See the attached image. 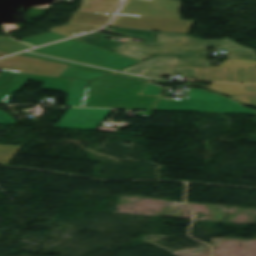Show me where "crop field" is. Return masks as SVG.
I'll use <instances>...</instances> for the list:
<instances>
[{"label": "crop field", "mask_w": 256, "mask_h": 256, "mask_svg": "<svg viewBox=\"0 0 256 256\" xmlns=\"http://www.w3.org/2000/svg\"><path fill=\"white\" fill-rule=\"evenodd\" d=\"M145 82L106 76L89 84L82 107L151 110L158 97L138 95Z\"/></svg>", "instance_id": "obj_1"}, {"label": "crop field", "mask_w": 256, "mask_h": 256, "mask_svg": "<svg viewBox=\"0 0 256 256\" xmlns=\"http://www.w3.org/2000/svg\"><path fill=\"white\" fill-rule=\"evenodd\" d=\"M31 52L115 70L140 62L74 39Z\"/></svg>", "instance_id": "obj_2"}, {"label": "crop field", "mask_w": 256, "mask_h": 256, "mask_svg": "<svg viewBox=\"0 0 256 256\" xmlns=\"http://www.w3.org/2000/svg\"><path fill=\"white\" fill-rule=\"evenodd\" d=\"M153 110L256 114L227 97L194 88L186 100L159 97Z\"/></svg>", "instance_id": "obj_3"}, {"label": "crop field", "mask_w": 256, "mask_h": 256, "mask_svg": "<svg viewBox=\"0 0 256 256\" xmlns=\"http://www.w3.org/2000/svg\"><path fill=\"white\" fill-rule=\"evenodd\" d=\"M220 46L227 49L225 58L256 60L253 50L240 46L228 38L201 40L182 33L157 31L155 47Z\"/></svg>", "instance_id": "obj_4"}, {"label": "crop field", "mask_w": 256, "mask_h": 256, "mask_svg": "<svg viewBox=\"0 0 256 256\" xmlns=\"http://www.w3.org/2000/svg\"><path fill=\"white\" fill-rule=\"evenodd\" d=\"M28 80L44 82L42 89L64 92H68L71 81V79L2 71L0 74V103H9L14 92H20Z\"/></svg>", "instance_id": "obj_5"}, {"label": "crop field", "mask_w": 256, "mask_h": 256, "mask_svg": "<svg viewBox=\"0 0 256 256\" xmlns=\"http://www.w3.org/2000/svg\"><path fill=\"white\" fill-rule=\"evenodd\" d=\"M193 21L118 14L111 26L188 33Z\"/></svg>", "instance_id": "obj_6"}, {"label": "crop field", "mask_w": 256, "mask_h": 256, "mask_svg": "<svg viewBox=\"0 0 256 256\" xmlns=\"http://www.w3.org/2000/svg\"><path fill=\"white\" fill-rule=\"evenodd\" d=\"M68 66L25 56L0 60V70L58 77Z\"/></svg>", "instance_id": "obj_7"}, {"label": "crop field", "mask_w": 256, "mask_h": 256, "mask_svg": "<svg viewBox=\"0 0 256 256\" xmlns=\"http://www.w3.org/2000/svg\"><path fill=\"white\" fill-rule=\"evenodd\" d=\"M181 0H127L120 13L181 19Z\"/></svg>", "instance_id": "obj_8"}, {"label": "crop field", "mask_w": 256, "mask_h": 256, "mask_svg": "<svg viewBox=\"0 0 256 256\" xmlns=\"http://www.w3.org/2000/svg\"><path fill=\"white\" fill-rule=\"evenodd\" d=\"M111 110L69 108L55 127L95 130Z\"/></svg>", "instance_id": "obj_9"}, {"label": "crop field", "mask_w": 256, "mask_h": 256, "mask_svg": "<svg viewBox=\"0 0 256 256\" xmlns=\"http://www.w3.org/2000/svg\"><path fill=\"white\" fill-rule=\"evenodd\" d=\"M207 48H191V49H148L142 48L131 42H126L113 52L137 59L144 60L150 56H193V57H207Z\"/></svg>", "instance_id": "obj_10"}, {"label": "crop field", "mask_w": 256, "mask_h": 256, "mask_svg": "<svg viewBox=\"0 0 256 256\" xmlns=\"http://www.w3.org/2000/svg\"><path fill=\"white\" fill-rule=\"evenodd\" d=\"M203 86L196 84H185V86ZM212 91L235 98V100L245 105H256V85H236L212 83L210 86H203Z\"/></svg>", "instance_id": "obj_11"}, {"label": "crop field", "mask_w": 256, "mask_h": 256, "mask_svg": "<svg viewBox=\"0 0 256 256\" xmlns=\"http://www.w3.org/2000/svg\"><path fill=\"white\" fill-rule=\"evenodd\" d=\"M178 57H151L143 62L128 67L122 72L140 75L145 69L180 68Z\"/></svg>", "instance_id": "obj_12"}, {"label": "crop field", "mask_w": 256, "mask_h": 256, "mask_svg": "<svg viewBox=\"0 0 256 256\" xmlns=\"http://www.w3.org/2000/svg\"><path fill=\"white\" fill-rule=\"evenodd\" d=\"M111 17V14L74 11L69 23L104 25Z\"/></svg>", "instance_id": "obj_13"}, {"label": "crop field", "mask_w": 256, "mask_h": 256, "mask_svg": "<svg viewBox=\"0 0 256 256\" xmlns=\"http://www.w3.org/2000/svg\"><path fill=\"white\" fill-rule=\"evenodd\" d=\"M121 0H86L79 10L115 13Z\"/></svg>", "instance_id": "obj_14"}, {"label": "crop field", "mask_w": 256, "mask_h": 256, "mask_svg": "<svg viewBox=\"0 0 256 256\" xmlns=\"http://www.w3.org/2000/svg\"><path fill=\"white\" fill-rule=\"evenodd\" d=\"M104 31H107L113 34L131 35V36L143 38L145 39L143 42V45L154 47L156 31L114 28V27H108Z\"/></svg>", "instance_id": "obj_15"}, {"label": "crop field", "mask_w": 256, "mask_h": 256, "mask_svg": "<svg viewBox=\"0 0 256 256\" xmlns=\"http://www.w3.org/2000/svg\"><path fill=\"white\" fill-rule=\"evenodd\" d=\"M88 82L89 81L72 79L65 105L81 106Z\"/></svg>", "instance_id": "obj_16"}, {"label": "crop field", "mask_w": 256, "mask_h": 256, "mask_svg": "<svg viewBox=\"0 0 256 256\" xmlns=\"http://www.w3.org/2000/svg\"><path fill=\"white\" fill-rule=\"evenodd\" d=\"M107 37H109V36L101 34L99 32H96V33H93V34L85 35V36L74 38V39H78V40H81V41H84L86 43L102 47V48L110 50V51L116 49L117 47H119L120 45L125 43L123 41H121L119 43L108 41V40L105 39Z\"/></svg>", "instance_id": "obj_17"}, {"label": "crop field", "mask_w": 256, "mask_h": 256, "mask_svg": "<svg viewBox=\"0 0 256 256\" xmlns=\"http://www.w3.org/2000/svg\"><path fill=\"white\" fill-rule=\"evenodd\" d=\"M104 73L69 66L59 77L93 80Z\"/></svg>", "instance_id": "obj_18"}, {"label": "crop field", "mask_w": 256, "mask_h": 256, "mask_svg": "<svg viewBox=\"0 0 256 256\" xmlns=\"http://www.w3.org/2000/svg\"><path fill=\"white\" fill-rule=\"evenodd\" d=\"M98 27L100 26L68 24L64 26H56L50 29L49 31L57 32L64 36L70 37L80 33L94 30Z\"/></svg>", "instance_id": "obj_19"}, {"label": "crop field", "mask_w": 256, "mask_h": 256, "mask_svg": "<svg viewBox=\"0 0 256 256\" xmlns=\"http://www.w3.org/2000/svg\"><path fill=\"white\" fill-rule=\"evenodd\" d=\"M199 80L226 82L224 68L197 69Z\"/></svg>", "instance_id": "obj_20"}, {"label": "crop field", "mask_w": 256, "mask_h": 256, "mask_svg": "<svg viewBox=\"0 0 256 256\" xmlns=\"http://www.w3.org/2000/svg\"><path fill=\"white\" fill-rule=\"evenodd\" d=\"M227 82L248 83L247 68H225Z\"/></svg>", "instance_id": "obj_21"}, {"label": "crop field", "mask_w": 256, "mask_h": 256, "mask_svg": "<svg viewBox=\"0 0 256 256\" xmlns=\"http://www.w3.org/2000/svg\"><path fill=\"white\" fill-rule=\"evenodd\" d=\"M65 38L64 36H61L56 33L48 32L40 35H35L27 38L20 39L21 41L27 42L29 44L38 46L56 39Z\"/></svg>", "instance_id": "obj_22"}, {"label": "crop field", "mask_w": 256, "mask_h": 256, "mask_svg": "<svg viewBox=\"0 0 256 256\" xmlns=\"http://www.w3.org/2000/svg\"><path fill=\"white\" fill-rule=\"evenodd\" d=\"M22 146L0 145V164L8 165Z\"/></svg>", "instance_id": "obj_23"}, {"label": "crop field", "mask_w": 256, "mask_h": 256, "mask_svg": "<svg viewBox=\"0 0 256 256\" xmlns=\"http://www.w3.org/2000/svg\"><path fill=\"white\" fill-rule=\"evenodd\" d=\"M182 67L209 66L207 58L179 57Z\"/></svg>", "instance_id": "obj_24"}, {"label": "crop field", "mask_w": 256, "mask_h": 256, "mask_svg": "<svg viewBox=\"0 0 256 256\" xmlns=\"http://www.w3.org/2000/svg\"><path fill=\"white\" fill-rule=\"evenodd\" d=\"M252 66H256V61L226 59L219 66H216V67H252Z\"/></svg>", "instance_id": "obj_25"}, {"label": "crop field", "mask_w": 256, "mask_h": 256, "mask_svg": "<svg viewBox=\"0 0 256 256\" xmlns=\"http://www.w3.org/2000/svg\"><path fill=\"white\" fill-rule=\"evenodd\" d=\"M143 75L147 77L161 78V76L180 75L179 70L146 71Z\"/></svg>", "instance_id": "obj_26"}, {"label": "crop field", "mask_w": 256, "mask_h": 256, "mask_svg": "<svg viewBox=\"0 0 256 256\" xmlns=\"http://www.w3.org/2000/svg\"><path fill=\"white\" fill-rule=\"evenodd\" d=\"M162 89L163 88L161 87H158L151 83H147V85L144 87L140 94L158 96Z\"/></svg>", "instance_id": "obj_27"}, {"label": "crop field", "mask_w": 256, "mask_h": 256, "mask_svg": "<svg viewBox=\"0 0 256 256\" xmlns=\"http://www.w3.org/2000/svg\"><path fill=\"white\" fill-rule=\"evenodd\" d=\"M21 55H26V56L40 58V59H44V60H49V61L59 62V63H63V64H68V65H73V66H78V67H83V68H88V69H93V70H98V71H103V72L111 73V71H106V70H102V69H97V68L87 67V66H83V65L68 63V62H64V61L49 59V58H45V57H40V56L28 54V53H24V54H21Z\"/></svg>", "instance_id": "obj_28"}, {"label": "crop field", "mask_w": 256, "mask_h": 256, "mask_svg": "<svg viewBox=\"0 0 256 256\" xmlns=\"http://www.w3.org/2000/svg\"><path fill=\"white\" fill-rule=\"evenodd\" d=\"M0 124L15 125V121H14L13 117L0 111Z\"/></svg>", "instance_id": "obj_29"}, {"label": "crop field", "mask_w": 256, "mask_h": 256, "mask_svg": "<svg viewBox=\"0 0 256 256\" xmlns=\"http://www.w3.org/2000/svg\"><path fill=\"white\" fill-rule=\"evenodd\" d=\"M249 83H256V67L248 68Z\"/></svg>", "instance_id": "obj_30"}, {"label": "crop field", "mask_w": 256, "mask_h": 256, "mask_svg": "<svg viewBox=\"0 0 256 256\" xmlns=\"http://www.w3.org/2000/svg\"><path fill=\"white\" fill-rule=\"evenodd\" d=\"M182 72L186 78H195L194 70H182Z\"/></svg>", "instance_id": "obj_31"}, {"label": "crop field", "mask_w": 256, "mask_h": 256, "mask_svg": "<svg viewBox=\"0 0 256 256\" xmlns=\"http://www.w3.org/2000/svg\"><path fill=\"white\" fill-rule=\"evenodd\" d=\"M114 74H118V75H121V76L132 77V78H136V79L148 81L147 78H143V77H138V76H133V75H127V74H122V73H118V72H115Z\"/></svg>", "instance_id": "obj_32"}, {"label": "crop field", "mask_w": 256, "mask_h": 256, "mask_svg": "<svg viewBox=\"0 0 256 256\" xmlns=\"http://www.w3.org/2000/svg\"><path fill=\"white\" fill-rule=\"evenodd\" d=\"M5 54H7V53L0 52V56L5 55Z\"/></svg>", "instance_id": "obj_33"}]
</instances>
